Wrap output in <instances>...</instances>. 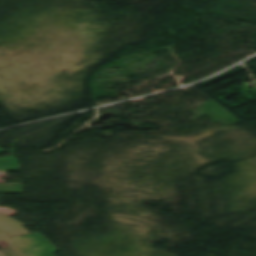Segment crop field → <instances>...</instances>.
<instances>
[{
  "instance_id": "ac0d7876",
  "label": "crop field",
  "mask_w": 256,
  "mask_h": 256,
  "mask_svg": "<svg viewBox=\"0 0 256 256\" xmlns=\"http://www.w3.org/2000/svg\"><path fill=\"white\" fill-rule=\"evenodd\" d=\"M24 224L4 215L0 214V229L6 231L11 237L30 234Z\"/></svg>"
},
{
  "instance_id": "8a807250",
  "label": "crop field",
  "mask_w": 256,
  "mask_h": 256,
  "mask_svg": "<svg viewBox=\"0 0 256 256\" xmlns=\"http://www.w3.org/2000/svg\"><path fill=\"white\" fill-rule=\"evenodd\" d=\"M27 256H54L58 249L40 233L11 238Z\"/></svg>"
},
{
  "instance_id": "e52e79f7",
  "label": "crop field",
  "mask_w": 256,
  "mask_h": 256,
  "mask_svg": "<svg viewBox=\"0 0 256 256\" xmlns=\"http://www.w3.org/2000/svg\"><path fill=\"white\" fill-rule=\"evenodd\" d=\"M0 151H4V150L0 148Z\"/></svg>"
},
{
  "instance_id": "dd49c442",
  "label": "crop field",
  "mask_w": 256,
  "mask_h": 256,
  "mask_svg": "<svg viewBox=\"0 0 256 256\" xmlns=\"http://www.w3.org/2000/svg\"><path fill=\"white\" fill-rule=\"evenodd\" d=\"M0 256H6V255L0 250Z\"/></svg>"
},
{
  "instance_id": "f4fd0767",
  "label": "crop field",
  "mask_w": 256,
  "mask_h": 256,
  "mask_svg": "<svg viewBox=\"0 0 256 256\" xmlns=\"http://www.w3.org/2000/svg\"><path fill=\"white\" fill-rule=\"evenodd\" d=\"M0 193H23L22 183L0 184Z\"/></svg>"
},
{
  "instance_id": "412701ff",
  "label": "crop field",
  "mask_w": 256,
  "mask_h": 256,
  "mask_svg": "<svg viewBox=\"0 0 256 256\" xmlns=\"http://www.w3.org/2000/svg\"><path fill=\"white\" fill-rule=\"evenodd\" d=\"M22 170L16 157L0 158V171Z\"/></svg>"
},
{
  "instance_id": "34b2d1b8",
  "label": "crop field",
  "mask_w": 256,
  "mask_h": 256,
  "mask_svg": "<svg viewBox=\"0 0 256 256\" xmlns=\"http://www.w3.org/2000/svg\"><path fill=\"white\" fill-rule=\"evenodd\" d=\"M0 246L9 256H26V254L2 230H0Z\"/></svg>"
}]
</instances>
